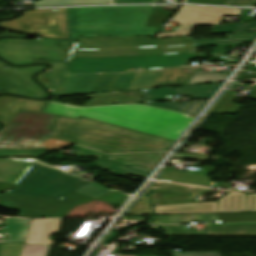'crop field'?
<instances>
[{
	"label": "crop field",
	"mask_w": 256,
	"mask_h": 256,
	"mask_svg": "<svg viewBox=\"0 0 256 256\" xmlns=\"http://www.w3.org/2000/svg\"><path fill=\"white\" fill-rule=\"evenodd\" d=\"M0 149L60 150L72 143L113 153L166 152L175 141L106 124L18 110L0 130Z\"/></svg>",
	"instance_id": "obj_1"
},
{
	"label": "crop field",
	"mask_w": 256,
	"mask_h": 256,
	"mask_svg": "<svg viewBox=\"0 0 256 256\" xmlns=\"http://www.w3.org/2000/svg\"><path fill=\"white\" fill-rule=\"evenodd\" d=\"M18 109L78 118L85 116L148 134L178 141L195 117L140 105L79 107L56 102H38L17 97H0V122L4 126ZM187 130V129H186Z\"/></svg>",
	"instance_id": "obj_2"
},
{
	"label": "crop field",
	"mask_w": 256,
	"mask_h": 256,
	"mask_svg": "<svg viewBox=\"0 0 256 256\" xmlns=\"http://www.w3.org/2000/svg\"><path fill=\"white\" fill-rule=\"evenodd\" d=\"M152 6L66 9L69 40L78 36H154L145 28Z\"/></svg>",
	"instance_id": "obj_3"
},
{
	"label": "crop field",
	"mask_w": 256,
	"mask_h": 256,
	"mask_svg": "<svg viewBox=\"0 0 256 256\" xmlns=\"http://www.w3.org/2000/svg\"><path fill=\"white\" fill-rule=\"evenodd\" d=\"M89 183L88 180L34 163L13 191L6 194L55 201L75 189Z\"/></svg>",
	"instance_id": "obj_4"
},
{
	"label": "crop field",
	"mask_w": 256,
	"mask_h": 256,
	"mask_svg": "<svg viewBox=\"0 0 256 256\" xmlns=\"http://www.w3.org/2000/svg\"><path fill=\"white\" fill-rule=\"evenodd\" d=\"M130 197L116 190L98 198V200L122 207ZM95 200L78 193H71L56 202L25 198L10 195H0V206L18 210L20 217L26 218H59L64 217L74 206Z\"/></svg>",
	"instance_id": "obj_5"
},
{
	"label": "crop field",
	"mask_w": 256,
	"mask_h": 256,
	"mask_svg": "<svg viewBox=\"0 0 256 256\" xmlns=\"http://www.w3.org/2000/svg\"><path fill=\"white\" fill-rule=\"evenodd\" d=\"M195 53L150 57L124 58H75L71 59L72 72H125L141 68L142 70L184 66Z\"/></svg>",
	"instance_id": "obj_6"
},
{
	"label": "crop field",
	"mask_w": 256,
	"mask_h": 256,
	"mask_svg": "<svg viewBox=\"0 0 256 256\" xmlns=\"http://www.w3.org/2000/svg\"><path fill=\"white\" fill-rule=\"evenodd\" d=\"M73 46L72 42L60 40L5 39L0 41V57L15 65L33 63L34 58L68 62Z\"/></svg>",
	"instance_id": "obj_7"
},
{
	"label": "crop field",
	"mask_w": 256,
	"mask_h": 256,
	"mask_svg": "<svg viewBox=\"0 0 256 256\" xmlns=\"http://www.w3.org/2000/svg\"><path fill=\"white\" fill-rule=\"evenodd\" d=\"M0 25L42 37L68 38L65 9H56V12L52 9L23 11L21 17Z\"/></svg>",
	"instance_id": "obj_8"
},
{
	"label": "crop field",
	"mask_w": 256,
	"mask_h": 256,
	"mask_svg": "<svg viewBox=\"0 0 256 256\" xmlns=\"http://www.w3.org/2000/svg\"><path fill=\"white\" fill-rule=\"evenodd\" d=\"M155 215L251 212L256 211V195L228 193L217 202L152 207Z\"/></svg>",
	"instance_id": "obj_9"
},
{
	"label": "crop field",
	"mask_w": 256,
	"mask_h": 256,
	"mask_svg": "<svg viewBox=\"0 0 256 256\" xmlns=\"http://www.w3.org/2000/svg\"><path fill=\"white\" fill-rule=\"evenodd\" d=\"M241 9L182 6L170 21H176L178 32L158 33L155 38L189 36L196 25H219L223 15L238 17Z\"/></svg>",
	"instance_id": "obj_10"
},
{
	"label": "crop field",
	"mask_w": 256,
	"mask_h": 256,
	"mask_svg": "<svg viewBox=\"0 0 256 256\" xmlns=\"http://www.w3.org/2000/svg\"><path fill=\"white\" fill-rule=\"evenodd\" d=\"M194 43L192 37L154 40L152 37H79L75 48L155 47Z\"/></svg>",
	"instance_id": "obj_11"
},
{
	"label": "crop field",
	"mask_w": 256,
	"mask_h": 256,
	"mask_svg": "<svg viewBox=\"0 0 256 256\" xmlns=\"http://www.w3.org/2000/svg\"><path fill=\"white\" fill-rule=\"evenodd\" d=\"M7 66L0 62V88L16 95L43 98L46 96L45 91L31 80L33 73L45 68L44 66L28 68L3 69ZM9 67V66H7Z\"/></svg>",
	"instance_id": "obj_12"
},
{
	"label": "crop field",
	"mask_w": 256,
	"mask_h": 256,
	"mask_svg": "<svg viewBox=\"0 0 256 256\" xmlns=\"http://www.w3.org/2000/svg\"><path fill=\"white\" fill-rule=\"evenodd\" d=\"M166 235L256 236V222L206 225L207 231L183 230L182 226H159Z\"/></svg>",
	"instance_id": "obj_13"
},
{
	"label": "crop field",
	"mask_w": 256,
	"mask_h": 256,
	"mask_svg": "<svg viewBox=\"0 0 256 256\" xmlns=\"http://www.w3.org/2000/svg\"><path fill=\"white\" fill-rule=\"evenodd\" d=\"M194 52L192 45L171 46L147 49H116V50H74L72 57H124V56H150L175 53Z\"/></svg>",
	"instance_id": "obj_14"
},
{
	"label": "crop field",
	"mask_w": 256,
	"mask_h": 256,
	"mask_svg": "<svg viewBox=\"0 0 256 256\" xmlns=\"http://www.w3.org/2000/svg\"><path fill=\"white\" fill-rule=\"evenodd\" d=\"M221 85L222 83L179 86L180 90H174L172 88L149 89L143 92V103L169 100L168 95H182L183 97H191V99L211 98Z\"/></svg>",
	"instance_id": "obj_15"
},
{
	"label": "crop field",
	"mask_w": 256,
	"mask_h": 256,
	"mask_svg": "<svg viewBox=\"0 0 256 256\" xmlns=\"http://www.w3.org/2000/svg\"><path fill=\"white\" fill-rule=\"evenodd\" d=\"M39 62L49 63L52 67L37 76L38 81L51 90L52 96L68 95L71 76L69 63L36 60V63Z\"/></svg>",
	"instance_id": "obj_16"
},
{
	"label": "crop field",
	"mask_w": 256,
	"mask_h": 256,
	"mask_svg": "<svg viewBox=\"0 0 256 256\" xmlns=\"http://www.w3.org/2000/svg\"><path fill=\"white\" fill-rule=\"evenodd\" d=\"M216 220H221V222L256 221V212L255 213L211 214V215H187V216H158L157 223L180 224V223H191L193 221L213 223Z\"/></svg>",
	"instance_id": "obj_17"
},
{
	"label": "crop field",
	"mask_w": 256,
	"mask_h": 256,
	"mask_svg": "<svg viewBox=\"0 0 256 256\" xmlns=\"http://www.w3.org/2000/svg\"><path fill=\"white\" fill-rule=\"evenodd\" d=\"M165 154L166 153L119 154L108 155L104 159L122 166L129 167L135 165L153 172Z\"/></svg>",
	"instance_id": "obj_18"
},
{
	"label": "crop field",
	"mask_w": 256,
	"mask_h": 256,
	"mask_svg": "<svg viewBox=\"0 0 256 256\" xmlns=\"http://www.w3.org/2000/svg\"><path fill=\"white\" fill-rule=\"evenodd\" d=\"M36 161L0 160V183L17 185L24 173Z\"/></svg>",
	"instance_id": "obj_19"
},
{
	"label": "crop field",
	"mask_w": 256,
	"mask_h": 256,
	"mask_svg": "<svg viewBox=\"0 0 256 256\" xmlns=\"http://www.w3.org/2000/svg\"><path fill=\"white\" fill-rule=\"evenodd\" d=\"M226 38L194 41L196 47L218 46L217 54L228 55V45L253 42L256 33L225 35Z\"/></svg>",
	"instance_id": "obj_20"
},
{
	"label": "crop field",
	"mask_w": 256,
	"mask_h": 256,
	"mask_svg": "<svg viewBox=\"0 0 256 256\" xmlns=\"http://www.w3.org/2000/svg\"><path fill=\"white\" fill-rule=\"evenodd\" d=\"M31 220L7 219V230L0 233V243H24Z\"/></svg>",
	"instance_id": "obj_21"
},
{
	"label": "crop field",
	"mask_w": 256,
	"mask_h": 256,
	"mask_svg": "<svg viewBox=\"0 0 256 256\" xmlns=\"http://www.w3.org/2000/svg\"><path fill=\"white\" fill-rule=\"evenodd\" d=\"M49 246L0 244V256H46Z\"/></svg>",
	"instance_id": "obj_22"
},
{
	"label": "crop field",
	"mask_w": 256,
	"mask_h": 256,
	"mask_svg": "<svg viewBox=\"0 0 256 256\" xmlns=\"http://www.w3.org/2000/svg\"><path fill=\"white\" fill-rule=\"evenodd\" d=\"M157 180L208 187L211 179L209 176L163 170Z\"/></svg>",
	"instance_id": "obj_23"
},
{
	"label": "crop field",
	"mask_w": 256,
	"mask_h": 256,
	"mask_svg": "<svg viewBox=\"0 0 256 256\" xmlns=\"http://www.w3.org/2000/svg\"><path fill=\"white\" fill-rule=\"evenodd\" d=\"M152 205H165V204H182L200 202V198H191L185 195L165 193V192H152L149 194Z\"/></svg>",
	"instance_id": "obj_24"
},
{
	"label": "crop field",
	"mask_w": 256,
	"mask_h": 256,
	"mask_svg": "<svg viewBox=\"0 0 256 256\" xmlns=\"http://www.w3.org/2000/svg\"><path fill=\"white\" fill-rule=\"evenodd\" d=\"M236 93L234 91L227 90L211 110L210 114H231L239 112L242 105L234 103L237 98Z\"/></svg>",
	"instance_id": "obj_25"
},
{
	"label": "crop field",
	"mask_w": 256,
	"mask_h": 256,
	"mask_svg": "<svg viewBox=\"0 0 256 256\" xmlns=\"http://www.w3.org/2000/svg\"><path fill=\"white\" fill-rule=\"evenodd\" d=\"M209 101H195V102H184V104H178L176 102L171 103H149L147 105L167 108L191 115L197 116L199 112L203 109V107L208 103Z\"/></svg>",
	"instance_id": "obj_26"
},
{
	"label": "crop field",
	"mask_w": 256,
	"mask_h": 256,
	"mask_svg": "<svg viewBox=\"0 0 256 256\" xmlns=\"http://www.w3.org/2000/svg\"><path fill=\"white\" fill-rule=\"evenodd\" d=\"M98 166L102 169H106L110 171L109 173H111L112 175L120 176V177H125L126 175H130V176L145 178L151 174V172L140 169L135 166L125 168L114 163L100 164Z\"/></svg>",
	"instance_id": "obj_27"
},
{
	"label": "crop field",
	"mask_w": 256,
	"mask_h": 256,
	"mask_svg": "<svg viewBox=\"0 0 256 256\" xmlns=\"http://www.w3.org/2000/svg\"><path fill=\"white\" fill-rule=\"evenodd\" d=\"M256 22L214 26L210 35L254 31Z\"/></svg>",
	"instance_id": "obj_28"
},
{
	"label": "crop field",
	"mask_w": 256,
	"mask_h": 256,
	"mask_svg": "<svg viewBox=\"0 0 256 256\" xmlns=\"http://www.w3.org/2000/svg\"><path fill=\"white\" fill-rule=\"evenodd\" d=\"M77 4H111V2L110 0H42L40 2H34V7Z\"/></svg>",
	"instance_id": "obj_29"
},
{
	"label": "crop field",
	"mask_w": 256,
	"mask_h": 256,
	"mask_svg": "<svg viewBox=\"0 0 256 256\" xmlns=\"http://www.w3.org/2000/svg\"><path fill=\"white\" fill-rule=\"evenodd\" d=\"M151 204L148 197L136 201L125 216L151 214Z\"/></svg>",
	"instance_id": "obj_30"
},
{
	"label": "crop field",
	"mask_w": 256,
	"mask_h": 256,
	"mask_svg": "<svg viewBox=\"0 0 256 256\" xmlns=\"http://www.w3.org/2000/svg\"><path fill=\"white\" fill-rule=\"evenodd\" d=\"M110 191L111 190L92 182V183L76 190L75 192L98 198Z\"/></svg>",
	"instance_id": "obj_31"
},
{
	"label": "crop field",
	"mask_w": 256,
	"mask_h": 256,
	"mask_svg": "<svg viewBox=\"0 0 256 256\" xmlns=\"http://www.w3.org/2000/svg\"><path fill=\"white\" fill-rule=\"evenodd\" d=\"M44 154H46V152L24 150H0V158L40 157Z\"/></svg>",
	"instance_id": "obj_32"
},
{
	"label": "crop field",
	"mask_w": 256,
	"mask_h": 256,
	"mask_svg": "<svg viewBox=\"0 0 256 256\" xmlns=\"http://www.w3.org/2000/svg\"><path fill=\"white\" fill-rule=\"evenodd\" d=\"M72 149L78 151L77 153L73 154L74 157H91V156H97L98 160L96 161V164L100 163H107L106 160L101 159L102 157L106 156L107 154H103L100 152H96L90 149H86L79 146H74Z\"/></svg>",
	"instance_id": "obj_33"
},
{
	"label": "crop field",
	"mask_w": 256,
	"mask_h": 256,
	"mask_svg": "<svg viewBox=\"0 0 256 256\" xmlns=\"http://www.w3.org/2000/svg\"><path fill=\"white\" fill-rule=\"evenodd\" d=\"M207 155L200 154H175L172 159H193V160H207Z\"/></svg>",
	"instance_id": "obj_34"
},
{
	"label": "crop field",
	"mask_w": 256,
	"mask_h": 256,
	"mask_svg": "<svg viewBox=\"0 0 256 256\" xmlns=\"http://www.w3.org/2000/svg\"><path fill=\"white\" fill-rule=\"evenodd\" d=\"M255 2L250 0H228L224 5L252 7Z\"/></svg>",
	"instance_id": "obj_35"
},
{
	"label": "crop field",
	"mask_w": 256,
	"mask_h": 256,
	"mask_svg": "<svg viewBox=\"0 0 256 256\" xmlns=\"http://www.w3.org/2000/svg\"><path fill=\"white\" fill-rule=\"evenodd\" d=\"M115 4L156 3L157 0H114Z\"/></svg>",
	"instance_id": "obj_36"
},
{
	"label": "crop field",
	"mask_w": 256,
	"mask_h": 256,
	"mask_svg": "<svg viewBox=\"0 0 256 256\" xmlns=\"http://www.w3.org/2000/svg\"><path fill=\"white\" fill-rule=\"evenodd\" d=\"M227 0H186L185 3H203L223 5Z\"/></svg>",
	"instance_id": "obj_37"
},
{
	"label": "crop field",
	"mask_w": 256,
	"mask_h": 256,
	"mask_svg": "<svg viewBox=\"0 0 256 256\" xmlns=\"http://www.w3.org/2000/svg\"><path fill=\"white\" fill-rule=\"evenodd\" d=\"M177 256H220L219 252L184 253Z\"/></svg>",
	"instance_id": "obj_38"
},
{
	"label": "crop field",
	"mask_w": 256,
	"mask_h": 256,
	"mask_svg": "<svg viewBox=\"0 0 256 256\" xmlns=\"http://www.w3.org/2000/svg\"><path fill=\"white\" fill-rule=\"evenodd\" d=\"M117 232L110 231V235L105 238L102 244H108L112 242L117 237Z\"/></svg>",
	"instance_id": "obj_39"
},
{
	"label": "crop field",
	"mask_w": 256,
	"mask_h": 256,
	"mask_svg": "<svg viewBox=\"0 0 256 256\" xmlns=\"http://www.w3.org/2000/svg\"><path fill=\"white\" fill-rule=\"evenodd\" d=\"M15 186L13 185H5V184H0V192L1 193H5L8 192L10 190H13Z\"/></svg>",
	"instance_id": "obj_40"
},
{
	"label": "crop field",
	"mask_w": 256,
	"mask_h": 256,
	"mask_svg": "<svg viewBox=\"0 0 256 256\" xmlns=\"http://www.w3.org/2000/svg\"><path fill=\"white\" fill-rule=\"evenodd\" d=\"M217 168L218 167H204L200 174L209 175L211 171H215Z\"/></svg>",
	"instance_id": "obj_41"
},
{
	"label": "crop field",
	"mask_w": 256,
	"mask_h": 256,
	"mask_svg": "<svg viewBox=\"0 0 256 256\" xmlns=\"http://www.w3.org/2000/svg\"><path fill=\"white\" fill-rule=\"evenodd\" d=\"M251 91H253L250 96L248 98L250 99H256V85L253 86V88L251 89Z\"/></svg>",
	"instance_id": "obj_42"
},
{
	"label": "crop field",
	"mask_w": 256,
	"mask_h": 256,
	"mask_svg": "<svg viewBox=\"0 0 256 256\" xmlns=\"http://www.w3.org/2000/svg\"><path fill=\"white\" fill-rule=\"evenodd\" d=\"M156 220H157V216L156 217H151L149 223H156Z\"/></svg>",
	"instance_id": "obj_43"
},
{
	"label": "crop field",
	"mask_w": 256,
	"mask_h": 256,
	"mask_svg": "<svg viewBox=\"0 0 256 256\" xmlns=\"http://www.w3.org/2000/svg\"><path fill=\"white\" fill-rule=\"evenodd\" d=\"M233 59H234V62H237V58L236 57H233Z\"/></svg>",
	"instance_id": "obj_44"
},
{
	"label": "crop field",
	"mask_w": 256,
	"mask_h": 256,
	"mask_svg": "<svg viewBox=\"0 0 256 256\" xmlns=\"http://www.w3.org/2000/svg\"><path fill=\"white\" fill-rule=\"evenodd\" d=\"M3 92H5V91L0 90V93H3Z\"/></svg>",
	"instance_id": "obj_45"
}]
</instances>
